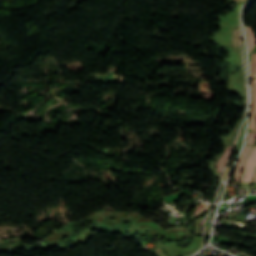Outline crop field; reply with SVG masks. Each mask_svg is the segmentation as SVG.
<instances>
[{
    "instance_id": "8a807250",
    "label": "crop field",
    "mask_w": 256,
    "mask_h": 256,
    "mask_svg": "<svg viewBox=\"0 0 256 256\" xmlns=\"http://www.w3.org/2000/svg\"><path fill=\"white\" fill-rule=\"evenodd\" d=\"M256 168V147L251 150L244 167L240 181L251 182L254 170Z\"/></svg>"
},
{
    "instance_id": "ac0d7876",
    "label": "crop field",
    "mask_w": 256,
    "mask_h": 256,
    "mask_svg": "<svg viewBox=\"0 0 256 256\" xmlns=\"http://www.w3.org/2000/svg\"><path fill=\"white\" fill-rule=\"evenodd\" d=\"M249 128L256 131V80H252V117Z\"/></svg>"
},
{
    "instance_id": "34b2d1b8",
    "label": "crop field",
    "mask_w": 256,
    "mask_h": 256,
    "mask_svg": "<svg viewBox=\"0 0 256 256\" xmlns=\"http://www.w3.org/2000/svg\"><path fill=\"white\" fill-rule=\"evenodd\" d=\"M250 148L251 147H247L245 146V149L242 153V156H241V159H240V162L238 164V167L236 169V172H235V180L238 182V177L240 176L241 174V171H242V168H243V165H244V162H245V159L250 151Z\"/></svg>"
},
{
    "instance_id": "412701ff",
    "label": "crop field",
    "mask_w": 256,
    "mask_h": 256,
    "mask_svg": "<svg viewBox=\"0 0 256 256\" xmlns=\"http://www.w3.org/2000/svg\"><path fill=\"white\" fill-rule=\"evenodd\" d=\"M247 31V40H248V49L250 50L253 45L256 43L255 34L252 33L250 27H246Z\"/></svg>"
},
{
    "instance_id": "f4fd0767",
    "label": "crop field",
    "mask_w": 256,
    "mask_h": 256,
    "mask_svg": "<svg viewBox=\"0 0 256 256\" xmlns=\"http://www.w3.org/2000/svg\"><path fill=\"white\" fill-rule=\"evenodd\" d=\"M230 148H231V147L227 148V151L225 152V154L223 155L222 159L220 160V162H219V164H218V171H219V174H221V171H222L223 166H224V162H225V160H226L227 157H228Z\"/></svg>"
},
{
    "instance_id": "dd49c442",
    "label": "crop field",
    "mask_w": 256,
    "mask_h": 256,
    "mask_svg": "<svg viewBox=\"0 0 256 256\" xmlns=\"http://www.w3.org/2000/svg\"><path fill=\"white\" fill-rule=\"evenodd\" d=\"M251 77H256V55L253 54V60L250 63Z\"/></svg>"
},
{
    "instance_id": "e52e79f7",
    "label": "crop field",
    "mask_w": 256,
    "mask_h": 256,
    "mask_svg": "<svg viewBox=\"0 0 256 256\" xmlns=\"http://www.w3.org/2000/svg\"><path fill=\"white\" fill-rule=\"evenodd\" d=\"M255 137H256V133H249L248 134L247 144H249V145L254 144Z\"/></svg>"
},
{
    "instance_id": "d8731c3e",
    "label": "crop field",
    "mask_w": 256,
    "mask_h": 256,
    "mask_svg": "<svg viewBox=\"0 0 256 256\" xmlns=\"http://www.w3.org/2000/svg\"><path fill=\"white\" fill-rule=\"evenodd\" d=\"M255 181H256V179H255Z\"/></svg>"
}]
</instances>
